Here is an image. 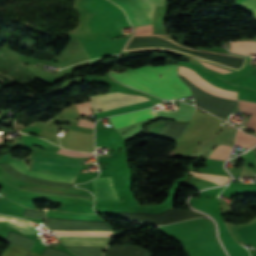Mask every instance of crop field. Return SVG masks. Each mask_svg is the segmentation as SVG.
I'll return each instance as SVG.
<instances>
[{"mask_svg":"<svg viewBox=\"0 0 256 256\" xmlns=\"http://www.w3.org/2000/svg\"><path fill=\"white\" fill-rule=\"evenodd\" d=\"M177 65L143 66L122 74L111 72L118 81L164 99H178L191 95L187 86L177 76ZM158 74H162L159 78Z\"/></svg>","mask_w":256,"mask_h":256,"instance_id":"1","label":"crop field"},{"mask_svg":"<svg viewBox=\"0 0 256 256\" xmlns=\"http://www.w3.org/2000/svg\"><path fill=\"white\" fill-rule=\"evenodd\" d=\"M124 9L132 26L152 23L155 6H162L164 0H111Z\"/></svg>","mask_w":256,"mask_h":256,"instance_id":"2","label":"crop field"},{"mask_svg":"<svg viewBox=\"0 0 256 256\" xmlns=\"http://www.w3.org/2000/svg\"><path fill=\"white\" fill-rule=\"evenodd\" d=\"M149 100L146 97L122 93L96 95L90 97V105L93 112L98 110H110Z\"/></svg>","mask_w":256,"mask_h":256,"instance_id":"3","label":"crop field"},{"mask_svg":"<svg viewBox=\"0 0 256 256\" xmlns=\"http://www.w3.org/2000/svg\"><path fill=\"white\" fill-rule=\"evenodd\" d=\"M31 170L58 175H77L80 171V162L64 159L36 158Z\"/></svg>","mask_w":256,"mask_h":256,"instance_id":"4","label":"crop field"},{"mask_svg":"<svg viewBox=\"0 0 256 256\" xmlns=\"http://www.w3.org/2000/svg\"><path fill=\"white\" fill-rule=\"evenodd\" d=\"M178 74L183 76L192 85H194L195 87H197L198 89H200L201 91H203L207 94H210L212 96L219 97L222 99L237 101L238 92L219 89V88L209 84L204 79H202L200 76H198L195 72H193L192 70H190L186 67L179 66Z\"/></svg>","mask_w":256,"mask_h":256,"instance_id":"5","label":"crop field"},{"mask_svg":"<svg viewBox=\"0 0 256 256\" xmlns=\"http://www.w3.org/2000/svg\"><path fill=\"white\" fill-rule=\"evenodd\" d=\"M96 201L118 200L111 177L93 180Z\"/></svg>","mask_w":256,"mask_h":256,"instance_id":"6","label":"crop field"},{"mask_svg":"<svg viewBox=\"0 0 256 256\" xmlns=\"http://www.w3.org/2000/svg\"><path fill=\"white\" fill-rule=\"evenodd\" d=\"M155 114L156 111L152 112L151 108H149L129 114L112 117L110 118V120L114 128L117 129L128 124L136 123L145 119L155 117Z\"/></svg>","mask_w":256,"mask_h":256,"instance_id":"7","label":"crop field"},{"mask_svg":"<svg viewBox=\"0 0 256 256\" xmlns=\"http://www.w3.org/2000/svg\"><path fill=\"white\" fill-rule=\"evenodd\" d=\"M65 246H107L112 238L107 237H60Z\"/></svg>","mask_w":256,"mask_h":256,"instance_id":"8","label":"crop field"},{"mask_svg":"<svg viewBox=\"0 0 256 256\" xmlns=\"http://www.w3.org/2000/svg\"><path fill=\"white\" fill-rule=\"evenodd\" d=\"M9 164L13 168L17 169L18 171H20L26 175L33 176V177L70 181V182H73L75 179V176H57V175H48V174L34 173L31 171H28V166H27L26 162H24V161L14 162V163H9Z\"/></svg>","mask_w":256,"mask_h":256,"instance_id":"9","label":"crop field"},{"mask_svg":"<svg viewBox=\"0 0 256 256\" xmlns=\"http://www.w3.org/2000/svg\"><path fill=\"white\" fill-rule=\"evenodd\" d=\"M79 6L82 7L85 10H88L91 12L92 17L89 25V29L91 33H105V32H111L108 25L102 18L100 14H98L96 11L92 10L88 6L84 5L83 3H79Z\"/></svg>","mask_w":256,"mask_h":256,"instance_id":"10","label":"crop field"},{"mask_svg":"<svg viewBox=\"0 0 256 256\" xmlns=\"http://www.w3.org/2000/svg\"><path fill=\"white\" fill-rule=\"evenodd\" d=\"M0 221H8L9 223L11 224H14V225H17V226H20L22 228H25V229H28L36 234H39L36 229L39 227L37 226L36 224L34 223H31V222H28L26 220H23V219H19V218H13V217H9V216H2L0 215ZM11 224H8V226L10 227H15L17 229H19L23 234H34L28 230H25V229H22L20 227H17V226H14V225H11Z\"/></svg>","mask_w":256,"mask_h":256,"instance_id":"11","label":"crop field"},{"mask_svg":"<svg viewBox=\"0 0 256 256\" xmlns=\"http://www.w3.org/2000/svg\"><path fill=\"white\" fill-rule=\"evenodd\" d=\"M240 111L252 115L247 127H253L256 129V103L239 100Z\"/></svg>","mask_w":256,"mask_h":256,"instance_id":"12","label":"crop field"},{"mask_svg":"<svg viewBox=\"0 0 256 256\" xmlns=\"http://www.w3.org/2000/svg\"><path fill=\"white\" fill-rule=\"evenodd\" d=\"M231 50L235 52L249 54L251 52L256 53V42L252 41H240L232 42Z\"/></svg>","mask_w":256,"mask_h":256,"instance_id":"13","label":"crop field"},{"mask_svg":"<svg viewBox=\"0 0 256 256\" xmlns=\"http://www.w3.org/2000/svg\"><path fill=\"white\" fill-rule=\"evenodd\" d=\"M244 242L256 245V223L238 230Z\"/></svg>","mask_w":256,"mask_h":256,"instance_id":"14","label":"crop field"},{"mask_svg":"<svg viewBox=\"0 0 256 256\" xmlns=\"http://www.w3.org/2000/svg\"><path fill=\"white\" fill-rule=\"evenodd\" d=\"M200 51H202V50H200ZM207 52H214V51H207ZM214 53H222V54H229V55H236V56L246 57L244 55H239V54H234V53H225V52H214ZM195 59L199 60L204 66H206V67H208V68H210L212 70H216V71L222 72V73H230V72L235 71V70H232V69H229V68L217 65V64H213V63H210V62L198 59V58H195Z\"/></svg>","mask_w":256,"mask_h":256,"instance_id":"15","label":"crop field"},{"mask_svg":"<svg viewBox=\"0 0 256 256\" xmlns=\"http://www.w3.org/2000/svg\"><path fill=\"white\" fill-rule=\"evenodd\" d=\"M58 235H105L112 236V231H53Z\"/></svg>","mask_w":256,"mask_h":256,"instance_id":"16","label":"crop field"},{"mask_svg":"<svg viewBox=\"0 0 256 256\" xmlns=\"http://www.w3.org/2000/svg\"><path fill=\"white\" fill-rule=\"evenodd\" d=\"M256 143V137L249 136L239 130L235 145L250 147Z\"/></svg>","mask_w":256,"mask_h":256,"instance_id":"17","label":"crop field"},{"mask_svg":"<svg viewBox=\"0 0 256 256\" xmlns=\"http://www.w3.org/2000/svg\"><path fill=\"white\" fill-rule=\"evenodd\" d=\"M231 148L232 147L228 145H219L209 158L226 160L231 151Z\"/></svg>","mask_w":256,"mask_h":256,"instance_id":"18","label":"crop field"},{"mask_svg":"<svg viewBox=\"0 0 256 256\" xmlns=\"http://www.w3.org/2000/svg\"><path fill=\"white\" fill-rule=\"evenodd\" d=\"M143 35H152V25L149 26H141V27H137L136 29H134V34L133 36H143ZM156 36H170V35H156ZM172 39V38H171ZM173 41V40H172ZM128 44V43H127ZM126 44V46H127ZM125 46V47H126ZM183 46V45H182ZM185 47V46H184ZM188 48V47H187ZM195 50V49H194ZM132 51V50H129ZM177 52V51H176ZM180 53V52H178ZM183 54V53H181ZM185 55V54H183ZM188 58H192L191 56L185 55Z\"/></svg>","mask_w":256,"mask_h":256,"instance_id":"19","label":"crop field"},{"mask_svg":"<svg viewBox=\"0 0 256 256\" xmlns=\"http://www.w3.org/2000/svg\"><path fill=\"white\" fill-rule=\"evenodd\" d=\"M77 109L79 111L80 115H93L92 110L89 106V102L82 103V104H76Z\"/></svg>","mask_w":256,"mask_h":256,"instance_id":"20","label":"crop field"},{"mask_svg":"<svg viewBox=\"0 0 256 256\" xmlns=\"http://www.w3.org/2000/svg\"><path fill=\"white\" fill-rule=\"evenodd\" d=\"M78 125L84 126V127H87V128H93V126H94V124L92 122L85 121V120H80Z\"/></svg>","mask_w":256,"mask_h":256,"instance_id":"21","label":"crop field"},{"mask_svg":"<svg viewBox=\"0 0 256 256\" xmlns=\"http://www.w3.org/2000/svg\"><path fill=\"white\" fill-rule=\"evenodd\" d=\"M247 76H249V77H252V78L256 79V68H255V69H253V70H251V71L248 73V75H247Z\"/></svg>","mask_w":256,"mask_h":256,"instance_id":"22","label":"crop field"}]
</instances>
